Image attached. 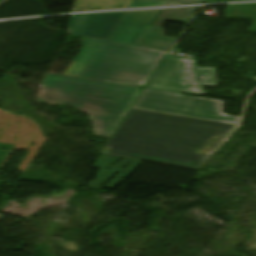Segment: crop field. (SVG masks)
Listing matches in <instances>:
<instances>
[{
    "instance_id": "crop-field-1",
    "label": "crop field",
    "mask_w": 256,
    "mask_h": 256,
    "mask_svg": "<svg viewBox=\"0 0 256 256\" xmlns=\"http://www.w3.org/2000/svg\"><path fill=\"white\" fill-rule=\"evenodd\" d=\"M234 125L131 109L104 151L107 154L196 169L210 141Z\"/></svg>"
},
{
    "instance_id": "crop-field-2",
    "label": "crop field",
    "mask_w": 256,
    "mask_h": 256,
    "mask_svg": "<svg viewBox=\"0 0 256 256\" xmlns=\"http://www.w3.org/2000/svg\"><path fill=\"white\" fill-rule=\"evenodd\" d=\"M38 97L90 115L96 136L110 138L139 92L138 87L47 74ZM131 107V106H130Z\"/></svg>"
},
{
    "instance_id": "crop-field-3",
    "label": "crop field",
    "mask_w": 256,
    "mask_h": 256,
    "mask_svg": "<svg viewBox=\"0 0 256 256\" xmlns=\"http://www.w3.org/2000/svg\"><path fill=\"white\" fill-rule=\"evenodd\" d=\"M165 54L104 42L81 78L144 86Z\"/></svg>"
},
{
    "instance_id": "crop-field-4",
    "label": "crop field",
    "mask_w": 256,
    "mask_h": 256,
    "mask_svg": "<svg viewBox=\"0 0 256 256\" xmlns=\"http://www.w3.org/2000/svg\"><path fill=\"white\" fill-rule=\"evenodd\" d=\"M135 109L238 125L240 118L222 114V102L178 93L143 90Z\"/></svg>"
},
{
    "instance_id": "crop-field-5",
    "label": "crop field",
    "mask_w": 256,
    "mask_h": 256,
    "mask_svg": "<svg viewBox=\"0 0 256 256\" xmlns=\"http://www.w3.org/2000/svg\"><path fill=\"white\" fill-rule=\"evenodd\" d=\"M215 73L197 67L194 59L166 55L145 89L205 95L202 85L217 86Z\"/></svg>"
},
{
    "instance_id": "crop-field-6",
    "label": "crop field",
    "mask_w": 256,
    "mask_h": 256,
    "mask_svg": "<svg viewBox=\"0 0 256 256\" xmlns=\"http://www.w3.org/2000/svg\"><path fill=\"white\" fill-rule=\"evenodd\" d=\"M159 12H124L107 41L168 51L175 39L165 37L163 27H148Z\"/></svg>"
},
{
    "instance_id": "crop-field-7",
    "label": "crop field",
    "mask_w": 256,
    "mask_h": 256,
    "mask_svg": "<svg viewBox=\"0 0 256 256\" xmlns=\"http://www.w3.org/2000/svg\"><path fill=\"white\" fill-rule=\"evenodd\" d=\"M123 12L72 16L69 34L107 39Z\"/></svg>"
},
{
    "instance_id": "crop-field-8",
    "label": "crop field",
    "mask_w": 256,
    "mask_h": 256,
    "mask_svg": "<svg viewBox=\"0 0 256 256\" xmlns=\"http://www.w3.org/2000/svg\"><path fill=\"white\" fill-rule=\"evenodd\" d=\"M103 42L104 40L84 37L82 50L65 75L80 78Z\"/></svg>"
},
{
    "instance_id": "crop-field-9",
    "label": "crop field",
    "mask_w": 256,
    "mask_h": 256,
    "mask_svg": "<svg viewBox=\"0 0 256 256\" xmlns=\"http://www.w3.org/2000/svg\"><path fill=\"white\" fill-rule=\"evenodd\" d=\"M132 0H76L73 11L126 8Z\"/></svg>"
},
{
    "instance_id": "crop-field-10",
    "label": "crop field",
    "mask_w": 256,
    "mask_h": 256,
    "mask_svg": "<svg viewBox=\"0 0 256 256\" xmlns=\"http://www.w3.org/2000/svg\"><path fill=\"white\" fill-rule=\"evenodd\" d=\"M224 15L226 17L256 20V4L228 5ZM249 32H256V21Z\"/></svg>"
},
{
    "instance_id": "crop-field-11",
    "label": "crop field",
    "mask_w": 256,
    "mask_h": 256,
    "mask_svg": "<svg viewBox=\"0 0 256 256\" xmlns=\"http://www.w3.org/2000/svg\"><path fill=\"white\" fill-rule=\"evenodd\" d=\"M196 8L165 9L158 17L154 25L163 26L166 20L188 23Z\"/></svg>"
},
{
    "instance_id": "crop-field-12",
    "label": "crop field",
    "mask_w": 256,
    "mask_h": 256,
    "mask_svg": "<svg viewBox=\"0 0 256 256\" xmlns=\"http://www.w3.org/2000/svg\"><path fill=\"white\" fill-rule=\"evenodd\" d=\"M164 0L132 1L128 8L164 6Z\"/></svg>"
},
{
    "instance_id": "crop-field-13",
    "label": "crop field",
    "mask_w": 256,
    "mask_h": 256,
    "mask_svg": "<svg viewBox=\"0 0 256 256\" xmlns=\"http://www.w3.org/2000/svg\"><path fill=\"white\" fill-rule=\"evenodd\" d=\"M173 1H181V2H186V3H199L202 0H173Z\"/></svg>"
},
{
    "instance_id": "crop-field-14",
    "label": "crop field",
    "mask_w": 256,
    "mask_h": 256,
    "mask_svg": "<svg viewBox=\"0 0 256 256\" xmlns=\"http://www.w3.org/2000/svg\"><path fill=\"white\" fill-rule=\"evenodd\" d=\"M224 1H230V0H203L201 3H204V2H224Z\"/></svg>"
},
{
    "instance_id": "crop-field-15",
    "label": "crop field",
    "mask_w": 256,
    "mask_h": 256,
    "mask_svg": "<svg viewBox=\"0 0 256 256\" xmlns=\"http://www.w3.org/2000/svg\"><path fill=\"white\" fill-rule=\"evenodd\" d=\"M173 5H183L180 3H173V2H168L167 6H173Z\"/></svg>"
},
{
    "instance_id": "crop-field-16",
    "label": "crop field",
    "mask_w": 256,
    "mask_h": 256,
    "mask_svg": "<svg viewBox=\"0 0 256 256\" xmlns=\"http://www.w3.org/2000/svg\"><path fill=\"white\" fill-rule=\"evenodd\" d=\"M234 1H243V0H234Z\"/></svg>"
}]
</instances>
